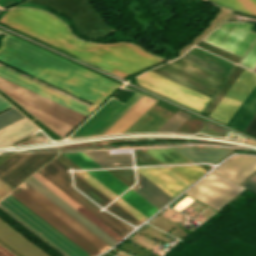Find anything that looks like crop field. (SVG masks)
Segmentation results:
<instances>
[{"mask_svg":"<svg viewBox=\"0 0 256 256\" xmlns=\"http://www.w3.org/2000/svg\"><path fill=\"white\" fill-rule=\"evenodd\" d=\"M17 30L32 35L122 78L163 60L155 58L130 44L96 45L72 37L58 19L37 10H8L0 20Z\"/></svg>","mask_w":256,"mask_h":256,"instance_id":"obj_1","label":"crop field"},{"mask_svg":"<svg viewBox=\"0 0 256 256\" xmlns=\"http://www.w3.org/2000/svg\"><path fill=\"white\" fill-rule=\"evenodd\" d=\"M0 61L100 104L121 85L7 34Z\"/></svg>","mask_w":256,"mask_h":256,"instance_id":"obj_2","label":"crop field"},{"mask_svg":"<svg viewBox=\"0 0 256 256\" xmlns=\"http://www.w3.org/2000/svg\"><path fill=\"white\" fill-rule=\"evenodd\" d=\"M9 194L92 256L110 248L24 182Z\"/></svg>","mask_w":256,"mask_h":256,"instance_id":"obj_3","label":"crop field"},{"mask_svg":"<svg viewBox=\"0 0 256 256\" xmlns=\"http://www.w3.org/2000/svg\"><path fill=\"white\" fill-rule=\"evenodd\" d=\"M0 207L66 256H90L9 194Z\"/></svg>","mask_w":256,"mask_h":256,"instance_id":"obj_4","label":"crop field"},{"mask_svg":"<svg viewBox=\"0 0 256 256\" xmlns=\"http://www.w3.org/2000/svg\"><path fill=\"white\" fill-rule=\"evenodd\" d=\"M152 71L209 99H211L219 86L225 80V77L182 58Z\"/></svg>","mask_w":256,"mask_h":256,"instance_id":"obj_5","label":"crop field"},{"mask_svg":"<svg viewBox=\"0 0 256 256\" xmlns=\"http://www.w3.org/2000/svg\"><path fill=\"white\" fill-rule=\"evenodd\" d=\"M122 89L133 91L136 94L125 104L113 97L63 144L92 143L143 96V94L127 86Z\"/></svg>","mask_w":256,"mask_h":256,"instance_id":"obj_6","label":"crop field"},{"mask_svg":"<svg viewBox=\"0 0 256 256\" xmlns=\"http://www.w3.org/2000/svg\"><path fill=\"white\" fill-rule=\"evenodd\" d=\"M67 169V167L55 159L38 172L52 183H54L56 186H58L60 189H62L64 192H66L68 195H70L80 205H82L85 209H87L99 220L119 233L121 236L124 237L128 232L132 230L131 227L125 225L113 216L105 212L100 213L98 211L99 208L74 191L71 186L70 175L65 172Z\"/></svg>","mask_w":256,"mask_h":256,"instance_id":"obj_7","label":"crop field"},{"mask_svg":"<svg viewBox=\"0 0 256 256\" xmlns=\"http://www.w3.org/2000/svg\"><path fill=\"white\" fill-rule=\"evenodd\" d=\"M57 154L59 153L13 154L0 164V178L14 188Z\"/></svg>","mask_w":256,"mask_h":256,"instance_id":"obj_8","label":"crop field"},{"mask_svg":"<svg viewBox=\"0 0 256 256\" xmlns=\"http://www.w3.org/2000/svg\"><path fill=\"white\" fill-rule=\"evenodd\" d=\"M244 189L223 177L210 173L186 194L218 209Z\"/></svg>","mask_w":256,"mask_h":256,"instance_id":"obj_9","label":"crop field"},{"mask_svg":"<svg viewBox=\"0 0 256 256\" xmlns=\"http://www.w3.org/2000/svg\"><path fill=\"white\" fill-rule=\"evenodd\" d=\"M136 80L140 86L197 112H200L208 101V99L200 95L188 91L149 72L137 77Z\"/></svg>","mask_w":256,"mask_h":256,"instance_id":"obj_10","label":"crop field"},{"mask_svg":"<svg viewBox=\"0 0 256 256\" xmlns=\"http://www.w3.org/2000/svg\"><path fill=\"white\" fill-rule=\"evenodd\" d=\"M255 85L256 74L244 69L210 117L227 124Z\"/></svg>","mask_w":256,"mask_h":256,"instance_id":"obj_11","label":"crop field"},{"mask_svg":"<svg viewBox=\"0 0 256 256\" xmlns=\"http://www.w3.org/2000/svg\"><path fill=\"white\" fill-rule=\"evenodd\" d=\"M24 182L31 186L33 189H35L37 192H39L41 195H43L45 198H47L49 201H51L54 205H56L58 208H60L62 211H64L66 214H68L70 217H72L74 220H76L83 227H85L87 230H89L91 233H93L110 247L118 242L32 176Z\"/></svg>","mask_w":256,"mask_h":256,"instance_id":"obj_12","label":"crop field"},{"mask_svg":"<svg viewBox=\"0 0 256 256\" xmlns=\"http://www.w3.org/2000/svg\"><path fill=\"white\" fill-rule=\"evenodd\" d=\"M0 77L7 79L15 84H18L24 88H27L35 93H38L44 97H47L55 102H58L66 107H69L75 111H78L86 116H88L96 107L97 105H93L90 108L73 101L67 97H64L56 92H53L47 88H44L38 84H35L27 79H24L18 75H15L9 71H6L2 68H0Z\"/></svg>","mask_w":256,"mask_h":256,"instance_id":"obj_13","label":"crop field"},{"mask_svg":"<svg viewBox=\"0 0 256 256\" xmlns=\"http://www.w3.org/2000/svg\"><path fill=\"white\" fill-rule=\"evenodd\" d=\"M255 171L256 157L244 155L232 157L214 170V172L238 184Z\"/></svg>","mask_w":256,"mask_h":256,"instance_id":"obj_14","label":"crop field"},{"mask_svg":"<svg viewBox=\"0 0 256 256\" xmlns=\"http://www.w3.org/2000/svg\"><path fill=\"white\" fill-rule=\"evenodd\" d=\"M137 171L174 197L190 185L165 168L138 169Z\"/></svg>","mask_w":256,"mask_h":256,"instance_id":"obj_15","label":"crop field"},{"mask_svg":"<svg viewBox=\"0 0 256 256\" xmlns=\"http://www.w3.org/2000/svg\"><path fill=\"white\" fill-rule=\"evenodd\" d=\"M157 100L144 95L125 114H123L103 134L122 135L139 117H141Z\"/></svg>","mask_w":256,"mask_h":256,"instance_id":"obj_16","label":"crop field"},{"mask_svg":"<svg viewBox=\"0 0 256 256\" xmlns=\"http://www.w3.org/2000/svg\"><path fill=\"white\" fill-rule=\"evenodd\" d=\"M0 237L23 253L25 256H48L41 249L15 231L0 219Z\"/></svg>","mask_w":256,"mask_h":256,"instance_id":"obj_17","label":"crop field"},{"mask_svg":"<svg viewBox=\"0 0 256 256\" xmlns=\"http://www.w3.org/2000/svg\"><path fill=\"white\" fill-rule=\"evenodd\" d=\"M203 41L222 48L240 57L246 52L250 44L223 33L217 29L211 32Z\"/></svg>","mask_w":256,"mask_h":256,"instance_id":"obj_18","label":"crop field"},{"mask_svg":"<svg viewBox=\"0 0 256 256\" xmlns=\"http://www.w3.org/2000/svg\"><path fill=\"white\" fill-rule=\"evenodd\" d=\"M139 176L140 184L132 190H134L136 193H138L140 196H142L156 208L159 209L169 200L172 199L159 188H157L154 184H152L150 181L144 178L142 175L139 174Z\"/></svg>","mask_w":256,"mask_h":256,"instance_id":"obj_19","label":"crop field"},{"mask_svg":"<svg viewBox=\"0 0 256 256\" xmlns=\"http://www.w3.org/2000/svg\"><path fill=\"white\" fill-rule=\"evenodd\" d=\"M256 113V87L229 121L228 125L241 131L246 127L249 121Z\"/></svg>","mask_w":256,"mask_h":256,"instance_id":"obj_20","label":"crop field"},{"mask_svg":"<svg viewBox=\"0 0 256 256\" xmlns=\"http://www.w3.org/2000/svg\"><path fill=\"white\" fill-rule=\"evenodd\" d=\"M177 149L194 162L218 161L230 152L209 147H178Z\"/></svg>","mask_w":256,"mask_h":256,"instance_id":"obj_21","label":"crop field"},{"mask_svg":"<svg viewBox=\"0 0 256 256\" xmlns=\"http://www.w3.org/2000/svg\"><path fill=\"white\" fill-rule=\"evenodd\" d=\"M33 176L36 177L38 180H40L42 183H44L47 187H49L51 190H53L59 196H61L64 200H66L68 203H70L72 206H74L77 210H79L81 213H83L85 216H87L90 220H92L94 223H96L102 229H104L107 233H109L115 239H117L119 241L120 239L123 238L119 234H117L116 232L111 230L109 227H107L105 224H103L101 221H99L96 217H94L88 211H86L82 206H80L78 203H76L74 200H72L69 196H67L65 193H63L60 189H58L55 185H53L47 179H45L44 177H42L41 175H39L37 173L34 174Z\"/></svg>","mask_w":256,"mask_h":256,"instance_id":"obj_22","label":"crop field"},{"mask_svg":"<svg viewBox=\"0 0 256 256\" xmlns=\"http://www.w3.org/2000/svg\"><path fill=\"white\" fill-rule=\"evenodd\" d=\"M252 27L253 24L246 22H225L218 29L253 44L256 40V33L251 31Z\"/></svg>","mask_w":256,"mask_h":256,"instance_id":"obj_23","label":"crop field"},{"mask_svg":"<svg viewBox=\"0 0 256 256\" xmlns=\"http://www.w3.org/2000/svg\"><path fill=\"white\" fill-rule=\"evenodd\" d=\"M210 3L229 8L238 13L256 16V0H208Z\"/></svg>","mask_w":256,"mask_h":256,"instance_id":"obj_24","label":"crop field"},{"mask_svg":"<svg viewBox=\"0 0 256 256\" xmlns=\"http://www.w3.org/2000/svg\"><path fill=\"white\" fill-rule=\"evenodd\" d=\"M162 164L190 162L172 148H159L144 150Z\"/></svg>","mask_w":256,"mask_h":256,"instance_id":"obj_25","label":"crop field"},{"mask_svg":"<svg viewBox=\"0 0 256 256\" xmlns=\"http://www.w3.org/2000/svg\"><path fill=\"white\" fill-rule=\"evenodd\" d=\"M102 166L130 165L129 155L108 156L106 151L85 152Z\"/></svg>","mask_w":256,"mask_h":256,"instance_id":"obj_26","label":"crop field"},{"mask_svg":"<svg viewBox=\"0 0 256 256\" xmlns=\"http://www.w3.org/2000/svg\"><path fill=\"white\" fill-rule=\"evenodd\" d=\"M121 198H123L125 201L130 203L132 206L137 208L139 211H141L148 217L154 214L156 211H158V209H156L154 206H152L150 203H148L146 200H144L131 189L127 193H125Z\"/></svg>","mask_w":256,"mask_h":256,"instance_id":"obj_27","label":"crop field"},{"mask_svg":"<svg viewBox=\"0 0 256 256\" xmlns=\"http://www.w3.org/2000/svg\"><path fill=\"white\" fill-rule=\"evenodd\" d=\"M88 173L94 176L97 180H99L117 195L124 191L126 188H128L107 171H96Z\"/></svg>","mask_w":256,"mask_h":256,"instance_id":"obj_28","label":"crop field"},{"mask_svg":"<svg viewBox=\"0 0 256 256\" xmlns=\"http://www.w3.org/2000/svg\"><path fill=\"white\" fill-rule=\"evenodd\" d=\"M168 169L190 184L207 172L199 166L171 167Z\"/></svg>","mask_w":256,"mask_h":256,"instance_id":"obj_29","label":"crop field"},{"mask_svg":"<svg viewBox=\"0 0 256 256\" xmlns=\"http://www.w3.org/2000/svg\"><path fill=\"white\" fill-rule=\"evenodd\" d=\"M243 68L237 66L236 69L233 71V73L230 75V77L227 79V81L224 83V85L221 87L219 92L216 94V96L213 98V100L210 102V104L207 106V108L204 110V114L208 115L212 112V110L215 108V106L218 104V102L221 100V98L224 96V94L227 92V90L230 88V86L233 84V82L236 80V78L239 76V74L242 72Z\"/></svg>","mask_w":256,"mask_h":256,"instance_id":"obj_30","label":"crop field"},{"mask_svg":"<svg viewBox=\"0 0 256 256\" xmlns=\"http://www.w3.org/2000/svg\"><path fill=\"white\" fill-rule=\"evenodd\" d=\"M76 186L104 206L110 200L103 196L100 192L94 189L91 185L85 182L82 178L75 174Z\"/></svg>","mask_w":256,"mask_h":256,"instance_id":"obj_31","label":"crop field"},{"mask_svg":"<svg viewBox=\"0 0 256 256\" xmlns=\"http://www.w3.org/2000/svg\"><path fill=\"white\" fill-rule=\"evenodd\" d=\"M173 117L181 120V121H185L186 119H188L190 117V115L182 112V111H178L177 113H175L173 115ZM182 124V122L174 119V118H170L165 124H163L157 131H164V132H173L177 127H179Z\"/></svg>","mask_w":256,"mask_h":256,"instance_id":"obj_32","label":"crop field"},{"mask_svg":"<svg viewBox=\"0 0 256 256\" xmlns=\"http://www.w3.org/2000/svg\"><path fill=\"white\" fill-rule=\"evenodd\" d=\"M75 173L78 174L80 177H82L84 180H86L88 183H90L92 186H94L96 189H98L100 192H102L111 200L117 196L113 192H111L109 189H107L105 186H103L101 183H99L97 180H95L87 172H75Z\"/></svg>","mask_w":256,"mask_h":256,"instance_id":"obj_33","label":"crop field"},{"mask_svg":"<svg viewBox=\"0 0 256 256\" xmlns=\"http://www.w3.org/2000/svg\"><path fill=\"white\" fill-rule=\"evenodd\" d=\"M82 168L100 167L81 152L64 153ZM67 157V158H68ZM71 160V161H72ZM80 167V168H81Z\"/></svg>","mask_w":256,"mask_h":256,"instance_id":"obj_34","label":"crop field"},{"mask_svg":"<svg viewBox=\"0 0 256 256\" xmlns=\"http://www.w3.org/2000/svg\"><path fill=\"white\" fill-rule=\"evenodd\" d=\"M24 118L14 108L0 114V129Z\"/></svg>","mask_w":256,"mask_h":256,"instance_id":"obj_35","label":"crop field"},{"mask_svg":"<svg viewBox=\"0 0 256 256\" xmlns=\"http://www.w3.org/2000/svg\"><path fill=\"white\" fill-rule=\"evenodd\" d=\"M199 132H201L203 134L211 135V136L224 137L228 134L229 131L208 122L204 127H202L199 130Z\"/></svg>","mask_w":256,"mask_h":256,"instance_id":"obj_36","label":"crop field"},{"mask_svg":"<svg viewBox=\"0 0 256 256\" xmlns=\"http://www.w3.org/2000/svg\"><path fill=\"white\" fill-rule=\"evenodd\" d=\"M239 64L253 70L256 66V42Z\"/></svg>","mask_w":256,"mask_h":256,"instance_id":"obj_37","label":"crop field"},{"mask_svg":"<svg viewBox=\"0 0 256 256\" xmlns=\"http://www.w3.org/2000/svg\"><path fill=\"white\" fill-rule=\"evenodd\" d=\"M115 204H117L119 207H121L123 210L128 212L130 215H132L134 218H136L140 222L146 218L121 198Z\"/></svg>","mask_w":256,"mask_h":256,"instance_id":"obj_38","label":"crop field"},{"mask_svg":"<svg viewBox=\"0 0 256 256\" xmlns=\"http://www.w3.org/2000/svg\"><path fill=\"white\" fill-rule=\"evenodd\" d=\"M107 209H109L110 211H112L114 214L124 218L125 220L138 225L140 224L139 222H137L135 219H133L130 215H128L126 212H124L121 208H119L117 205H115L114 203L111 204L109 207H107Z\"/></svg>","mask_w":256,"mask_h":256,"instance_id":"obj_39","label":"crop field"},{"mask_svg":"<svg viewBox=\"0 0 256 256\" xmlns=\"http://www.w3.org/2000/svg\"><path fill=\"white\" fill-rule=\"evenodd\" d=\"M0 245L4 247L6 250H8L10 253H12L14 256H24L20 252H18L16 249H14L12 246H10L8 243H6L4 240L0 238Z\"/></svg>","mask_w":256,"mask_h":256,"instance_id":"obj_40","label":"crop field"},{"mask_svg":"<svg viewBox=\"0 0 256 256\" xmlns=\"http://www.w3.org/2000/svg\"><path fill=\"white\" fill-rule=\"evenodd\" d=\"M12 189L13 188H11L9 185H7L5 182H3L0 179V198H2L4 195H6Z\"/></svg>","mask_w":256,"mask_h":256,"instance_id":"obj_41","label":"crop field"},{"mask_svg":"<svg viewBox=\"0 0 256 256\" xmlns=\"http://www.w3.org/2000/svg\"><path fill=\"white\" fill-rule=\"evenodd\" d=\"M245 132L250 133V134L256 136V116L253 118L251 123L245 129Z\"/></svg>","mask_w":256,"mask_h":256,"instance_id":"obj_42","label":"crop field"},{"mask_svg":"<svg viewBox=\"0 0 256 256\" xmlns=\"http://www.w3.org/2000/svg\"><path fill=\"white\" fill-rule=\"evenodd\" d=\"M242 186L256 192V183L255 182L247 180L245 183L242 184Z\"/></svg>","mask_w":256,"mask_h":256,"instance_id":"obj_43","label":"crop field"},{"mask_svg":"<svg viewBox=\"0 0 256 256\" xmlns=\"http://www.w3.org/2000/svg\"><path fill=\"white\" fill-rule=\"evenodd\" d=\"M11 107V105H9L5 100H3L0 97V111L5 110L7 108Z\"/></svg>","mask_w":256,"mask_h":256,"instance_id":"obj_44","label":"crop field"},{"mask_svg":"<svg viewBox=\"0 0 256 256\" xmlns=\"http://www.w3.org/2000/svg\"><path fill=\"white\" fill-rule=\"evenodd\" d=\"M0 256H13V255L0 246Z\"/></svg>","mask_w":256,"mask_h":256,"instance_id":"obj_45","label":"crop field"},{"mask_svg":"<svg viewBox=\"0 0 256 256\" xmlns=\"http://www.w3.org/2000/svg\"><path fill=\"white\" fill-rule=\"evenodd\" d=\"M254 71H256V67H255Z\"/></svg>","mask_w":256,"mask_h":256,"instance_id":"obj_46","label":"crop field"},{"mask_svg":"<svg viewBox=\"0 0 256 256\" xmlns=\"http://www.w3.org/2000/svg\"><path fill=\"white\" fill-rule=\"evenodd\" d=\"M2 12V10H0V13Z\"/></svg>","mask_w":256,"mask_h":256,"instance_id":"obj_47","label":"crop field"},{"mask_svg":"<svg viewBox=\"0 0 256 256\" xmlns=\"http://www.w3.org/2000/svg\"><path fill=\"white\" fill-rule=\"evenodd\" d=\"M2 33V31H0V34Z\"/></svg>","mask_w":256,"mask_h":256,"instance_id":"obj_48","label":"crop field"}]
</instances>
